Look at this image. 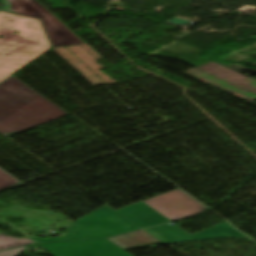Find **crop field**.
I'll list each match as a JSON object with an SVG mask.
<instances>
[{
	"label": "crop field",
	"instance_id": "obj_1",
	"mask_svg": "<svg viewBox=\"0 0 256 256\" xmlns=\"http://www.w3.org/2000/svg\"><path fill=\"white\" fill-rule=\"evenodd\" d=\"M17 80L12 76L0 84L2 135L7 137L68 115Z\"/></svg>",
	"mask_w": 256,
	"mask_h": 256
},
{
	"label": "crop field",
	"instance_id": "obj_2",
	"mask_svg": "<svg viewBox=\"0 0 256 256\" xmlns=\"http://www.w3.org/2000/svg\"><path fill=\"white\" fill-rule=\"evenodd\" d=\"M0 82L50 49L39 20L0 12Z\"/></svg>",
	"mask_w": 256,
	"mask_h": 256
},
{
	"label": "crop field",
	"instance_id": "obj_3",
	"mask_svg": "<svg viewBox=\"0 0 256 256\" xmlns=\"http://www.w3.org/2000/svg\"><path fill=\"white\" fill-rule=\"evenodd\" d=\"M140 229L130 221L103 206L73 222L64 237L31 238L37 243L107 238L132 230Z\"/></svg>",
	"mask_w": 256,
	"mask_h": 256
},
{
	"label": "crop field",
	"instance_id": "obj_4",
	"mask_svg": "<svg viewBox=\"0 0 256 256\" xmlns=\"http://www.w3.org/2000/svg\"><path fill=\"white\" fill-rule=\"evenodd\" d=\"M12 13L41 19L52 47L84 43L36 0H7Z\"/></svg>",
	"mask_w": 256,
	"mask_h": 256
},
{
	"label": "crop field",
	"instance_id": "obj_5",
	"mask_svg": "<svg viewBox=\"0 0 256 256\" xmlns=\"http://www.w3.org/2000/svg\"><path fill=\"white\" fill-rule=\"evenodd\" d=\"M143 202L171 221L190 217L207 209L179 189Z\"/></svg>",
	"mask_w": 256,
	"mask_h": 256
},
{
	"label": "crop field",
	"instance_id": "obj_6",
	"mask_svg": "<svg viewBox=\"0 0 256 256\" xmlns=\"http://www.w3.org/2000/svg\"><path fill=\"white\" fill-rule=\"evenodd\" d=\"M39 245L53 256H131L107 239Z\"/></svg>",
	"mask_w": 256,
	"mask_h": 256
},
{
	"label": "crop field",
	"instance_id": "obj_7",
	"mask_svg": "<svg viewBox=\"0 0 256 256\" xmlns=\"http://www.w3.org/2000/svg\"><path fill=\"white\" fill-rule=\"evenodd\" d=\"M145 232L155 237L164 244L214 239V238H238L245 237L234 228L224 223L209 230L195 234L193 236L174 225L169 224L144 229Z\"/></svg>",
	"mask_w": 256,
	"mask_h": 256
},
{
	"label": "crop field",
	"instance_id": "obj_8",
	"mask_svg": "<svg viewBox=\"0 0 256 256\" xmlns=\"http://www.w3.org/2000/svg\"><path fill=\"white\" fill-rule=\"evenodd\" d=\"M116 212L141 228L169 222L168 219L142 202Z\"/></svg>",
	"mask_w": 256,
	"mask_h": 256
},
{
	"label": "crop field",
	"instance_id": "obj_9",
	"mask_svg": "<svg viewBox=\"0 0 256 256\" xmlns=\"http://www.w3.org/2000/svg\"><path fill=\"white\" fill-rule=\"evenodd\" d=\"M27 243H34L29 238L19 239L8 236L0 235V250H4L6 248L16 247Z\"/></svg>",
	"mask_w": 256,
	"mask_h": 256
},
{
	"label": "crop field",
	"instance_id": "obj_10",
	"mask_svg": "<svg viewBox=\"0 0 256 256\" xmlns=\"http://www.w3.org/2000/svg\"><path fill=\"white\" fill-rule=\"evenodd\" d=\"M17 179L0 169V189L19 183Z\"/></svg>",
	"mask_w": 256,
	"mask_h": 256
},
{
	"label": "crop field",
	"instance_id": "obj_11",
	"mask_svg": "<svg viewBox=\"0 0 256 256\" xmlns=\"http://www.w3.org/2000/svg\"><path fill=\"white\" fill-rule=\"evenodd\" d=\"M25 247L26 246L20 247V248H16V249H12V250L2 251V252H0V256H16Z\"/></svg>",
	"mask_w": 256,
	"mask_h": 256
},
{
	"label": "crop field",
	"instance_id": "obj_12",
	"mask_svg": "<svg viewBox=\"0 0 256 256\" xmlns=\"http://www.w3.org/2000/svg\"><path fill=\"white\" fill-rule=\"evenodd\" d=\"M0 9L11 11L6 0H0Z\"/></svg>",
	"mask_w": 256,
	"mask_h": 256
}]
</instances>
